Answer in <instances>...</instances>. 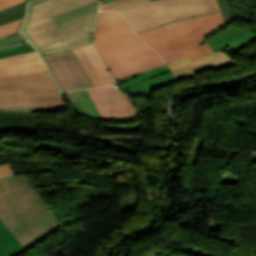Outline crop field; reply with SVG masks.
<instances>
[{"instance_id":"14","label":"crop field","mask_w":256,"mask_h":256,"mask_svg":"<svg viewBox=\"0 0 256 256\" xmlns=\"http://www.w3.org/2000/svg\"><path fill=\"white\" fill-rule=\"evenodd\" d=\"M255 40H256V34L251 31H248L215 49L218 50L220 48L228 46L230 49H232L236 53L240 49L251 45Z\"/></svg>"},{"instance_id":"2","label":"crop field","mask_w":256,"mask_h":256,"mask_svg":"<svg viewBox=\"0 0 256 256\" xmlns=\"http://www.w3.org/2000/svg\"><path fill=\"white\" fill-rule=\"evenodd\" d=\"M94 42L115 80L165 64L116 13L99 12Z\"/></svg>"},{"instance_id":"1","label":"crop field","mask_w":256,"mask_h":256,"mask_svg":"<svg viewBox=\"0 0 256 256\" xmlns=\"http://www.w3.org/2000/svg\"><path fill=\"white\" fill-rule=\"evenodd\" d=\"M99 0H49L28 9L21 33L40 54L91 44L97 10L59 26L54 17Z\"/></svg>"},{"instance_id":"11","label":"crop field","mask_w":256,"mask_h":256,"mask_svg":"<svg viewBox=\"0 0 256 256\" xmlns=\"http://www.w3.org/2000/svg\"><path fill=\"white\" fill-rule=\"evenodd\" d=\"M45 69L37 51L0 59V78Z\"/></svg>"},{"instance_id":"6","label":"crop field","mask_w":256,"mask_h":256,"mask_svg":"<svg viewBox=\"0 0 256 256\" xmlns=\"http://www.w3.org/2000/svg\"><path fill=\"white\" fill-rule=\"evenodd\" d=\"M61 106L63 98L49 70L0 79V109Z\"/></svg>"},{"instance_id":"26","label":"crop field","mask_w":256,"mask_h":256,"mask_svg":"<svg viewBox=\"0 0 256 256\" xmlns=\"http://www.w3.org/2000/svg\"><path fill=\"white\" fill-rule=\"evenodd\" d=\"M44 1H47V0H30L28 8L31 7V6H34L36 4H39L41 2H44Z\"/></svg>"},{"instance_id":"29","label":"crop field","mask_w":256,"mask_h":256,"mask_svg":"<svg viewBox=\"0 0 256 256\" xmlns=\"http://www.w3.org/2000/svg\"><path fill=\"white\" fill-rule=\"evenodd\" d=\"M11 176H14V174L11 175ZM11 176H7V177L0 178V180L5 179V178H8V177H11Z\"/></svg>"},{"instance_id":"16","label":"crop field","mask_w":256,"mask_h":256,"mask_svg":"<svg viewBox=\"0 0 256 256\" xmlns=\"http://www.w3.org/2000/svg\"><path fill=\"white\" fill-rule=\"evenodd\" d=\"M99 3H100V1L90 4V5H87V6H84V7H81V8H78V9L68 11L67 13H65L63 15L56 17V20L59 23V25L64 24L66 22H69L73 19H76V18L81 17L91 11L98 9Z\"/></svg>"},{"instance_id":"9","label":"crop field","mask_w":256,"mask_h":256,"mask_svg":"<svg viewBox=\"0 0 256 256\" xmlns=\"http://www.w3.org/2000/svg\"><path fill=\"white\" fill-rule=\"evenodd\" d=\"M143 73V75L121 84V88L135 96L153 86H156L159 89L177 80L167 65Z\"/></svg>"},{"instance_id":"27","label":"crop field","mask_w":256,"mask_h":256,"mask_svg":"<svg viewBox=\"0 0 256 256\" xmlns=\"http://www.w3.org/2000/svg\"><path fill=\"white\" fill-rule=\"evenodd\" d=\"M0 256H7L6 253L2 250L1 247H0Z\"/></svg>"},{"instance_id":"22","label":"crop field","mask_w":256,"mask_h":256,"mask_svg":"<svg viewBox=\"0 0 256 256\" xmlns=\"http://www.w3.org/2000/svg\"><path fill=\"white\" fill-rule=\"evenodd\" d=\"M25 0H0V10L19 4Z\"/></svg>"},{"instance_id":"13","label":"crop field","mask_w":256,"mask_h":256,"mask_svg":"<svg viewBox=\"0 0 256 256\" xmlns=\"http://www.w3.org/2000/svg\"><path fill=\"white\" fill-rule=\"evenodd\" d=\"M88 59L92 63L93 67L97 71L98 75L100 76L104 86L112 85L114 84L113 79L104 64L103 60L99 56L94 44L84 46L83 47Z\"/></svg>"},{"instance_id":"15","label":"crop field","mask_w":256,"mask_h":256,"mask_svg":"<svg viewBox=\"0 0 256 256\" xmlns=\"http://www.w3.org/2000/svg\"><path fill=\"white\" fill-rule=\"evenodd\" d=\"M77 59L83 66L84 70L86 71L87 75L89 76L91 82L93 83L94 87L103 86L99 76L95 72L94 68L90 64L89 60L87 59L82 47L73 50Z\"/></svg>"},{"instance_id":"7","label":"crop field","mask_w":256,"mask_h":256,"mask_svg":"<svg viewBox=\"0 0 256 256\" xmlns=\"http://www.w3.org/2000/svg\"><path fill=\"white\" fill-rule=\"evenodd\" d=\"M41 56L62 92L93 87L72 50Z\"/></svg>"},{"instance_id":"18","label":"crop field","mask_w":256,"mask_h":256,"mask_svg":"<svg viewBox=\"0 0 256 256\" xmlns=\"http://www.w3.org/2000/svg\"><path fill=\"white\" fill-rule=\"evenodd\" d=\"M23 19L1 25L0 26V38L19 33V29L23 23Z\"/></svg>"},{"instance_id":"3","label":"crop field","mask_w":256,"mask_h":256,"mask_svg":"<svg viewBox=\"0 0 256 256\" xmlns=\"http://www.w3.org/2000/svg\"><path fill=\"white\" fill-rule=\"evenodd\" d=\"M0 219L24 247L59 224L27 175L0 181Z\"/></svg>"},{"instance_id":"24","label":"crop field","mask_w":256,"mask_h":256,"mask_svg":"<svg viewBox=\"0 0 256 256\" xmlns=\"http://www.w3.org/2000/svg\"><path fill=\"white\" fill-rule=\"evenodd\" d=\"M238 28H239V27H235V28L227 29V30H225V31H222V32H220V33H217L216 35H214L213 37H211L210 39H208V43H210V42H212V41H214V40H216V39H218V38H220V37H222V36H224V35H226V34L232 32V31H234V30H236V29H238Z\"/></svg>"},{"instance_id":"12","label":"crop field","mask_w":256,"mask_h":256,"mask_svg":"<svg viewBox=\"0 0 256 256\" xmlns=\"http://www.w3.org/2000/svg\"><path fill=\"white\" fill-rule=\"evenodd\" d=\"M62 227L61 224L46 233L42 238L36 240L30 246L24 248L15 236L9 231V229L0 221V246L4 249L8 256H17L24 250L28 249L29 247L33 246L37 242L43 240L49 233L52 231Z\"/></svg>"},{"instance_id":"23","label":"crop field","mask_w":256,"mask_h":256,"mask_svg":"<svg viewBox=\"0 0 256 256\" xmlns=\"http://www.w3.org/2000/svg\"><path fill=\"white\" fill-rule=\"evenodd\" d=\"M11 174H13V172L10 168L9 163L0 165V177L11 175Z\"/></svg>"},{"instance_id":"4","label":"crop field","mask_w":256,"mask_h":256,"mask_svg":"<svg viewBox=\"0 0 256 256\" xmlns=\"http://www.w3.org/2000/svg\"><path fill=\"white\" fill-rule=\"evenodd\" d=\"M224 25L220 12L173 21L137 32L165 62L183 57L197 59L213 52L204 39L210 30Z\"/></svg>"},{"instance_id":"25","label":"crop field","mask_w":256,"mask_h":256,"mask_svg":"<svg viewBox=\"0 0 256 256\" xmlns=\"http://www.w3.org/2000/svg\"><path fill=\"white\" fill-rule=\"evenodd\" d=\"M188 62H191L190 60L184 58V59H181V60H178V61H175V62H172V63H169L167 64L170 68L172 67H175V66H178V65H181V64H185V63H188Z\"/></svg>"},{"instance_id":"8","label":"crop field","mask_w":256,"mask_h":256,"mask_svg":"<svg viewBox=\"0 0 256 256\" xmlns=\"http://www.w3.org/2000/svg\"><path fill=\"white\" fill-rule=\"evenodd\" d=\"M87 92L103 119L126 120L140 115L117 85L89 89Z\"/></svg>"},{"instance_id":"21","label":"crop field","mask_w":256,"mask_h":256,"mask_svg":"<svg viewBox=\"0 0 256 256\" xmlns=\"http://www.w3.org/2000/svg\"><path fill=\"white\" fill-rule=\"evenodd\" d=\"M217 1L221 9L224 23L227 24L231 19V10L229 8V4L227 3L226 0H217Z\"/></svg>"},{"instance_id":"28","label":"crop field","mask_w":256,"mask_h":256,"mask_svg":"<svg viewBox=\"0 0 256 256\" xmlns=\"http://www.w3.org/2000/svg\"><path fill=\"white\" fill-rule=\"evenodd\" d=\"M112 1H116V0H102V4L109 3V2H112Z\"/></svg>"},{"instance_id":"19","label":"crop field","mask_w":256,"mask_h":256,"mask_svg":"<svg viewBox=\"0 0 256 256\" xmlns=\"http://www.w3.org/2000/svg\"><path fill=\"white\" fill-rule=\"evenodd\" d=\"M16 48H17V50H14V51L0 53V58L7 57V56H12V55H16V54H21V53H25V52H30V51L35 50L29 43L17 45Z\"/></svg>"},{"instance_id":"17","label":"crop field","mask_w":256,"mask_h":256,"mask_svg":"<svg viewBox=\"0 0 256 256\" xmlns=\"http://www.w3.org/2000/svg\"><path fill=\"white\" fill-rule=\"evenodd\" d=\"M27 1L0 11V24L23 18L26 11Z\"/></svg>"},{"instance_id":"5","label":"crop field","mask_w":256,"mask_h":256,"mask_svg":"<svg viewBox=\"0 0 256 256\" xmlns=\"http://www.w3.org/2000/svg\"><path fill=\"white\" fill-rule=\"evenodd\" d=\"M100 10L122 14L137 32L220 9L216 0H120L102 5Z\"/></svg>"},{"instance_id":"20","label":"crop field","mask_w":256,"mask_h":256,"mask_svg":"<svg viewBox=\"0 0 256 256\" xmlns=\"http://www.w3.org/2000/svg\"><path fill=\"white\" fill-rule=\"evenodd\" d=\"M26 42V39L22 37V35L17 34L14 36H10V37H6V38H1L0 39V48L1 47H5V46H9L12 44H17V43H23Z\"/></svg>"},{"instance_id":"10","label":"crop field","mask_w":256,"mask_h":256,"mask_svg":"<svg viewBox=\"0 0 256 256\" xmlns=\"http://www.w3.org/2000/svg\"><path fill=\"white\" fill-rule=\"evenodd\" d=\"M237 64L238 63H236L224 52L218 51L197 61H193L191 63L172 68L171 70L174 72L176 78L179 80L183 78L188 79L194 77L195 73L204 70L220 69Z\"/></svg>"}]
</instances>
